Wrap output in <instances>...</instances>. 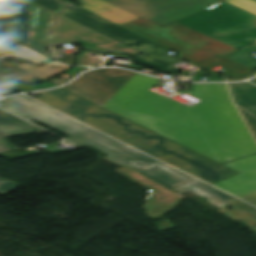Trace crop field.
<instances>
[{"label":"crop field","mask_w":256,"mask_h":256,"mask_svg":"<svg viewBox=\"0 0 256 256\" xmlns=\"http://www.w3.org/2000/svg\"><path fill=\"white\" fill-rule=\"evenodd\" d=\"M69 80H71V79H66V80H64V81H62V82L59 81V80H56V79H52V80H50V81L53 82L54 84L60 86V85H62V84H64V83H66V82L69 81Z\"/></svg>","instance_id":"crop-field-27"},{"label":"crop field","mask_w":256,"mask_h":256,"mask_svg":"<svg viewBox=\"0 0 256 256\" xmlns=\"http://www.w3.org/2000/svg\"><path fill=\"white\" fill-rule=\"evenodd\" d=\"M41 6H44L52 11H58L62 0H31Z\"/></svg>","instance_id":"crop-field-23"},{"label":"crop field","mask_w":256,"mask_h":256,"mask_svg":"<svg viewBox=\"0 0 256 256\" xmlns=\"http://www.w3.org/2000/svg\"><path fill=\"white\" fill-rule=\"evenodd\" d=\"M19 187V184L10 182L6 179L0 178V193L3 195L9 194L15 191Z\"/></svg>","instance_id":"crop-field-22"},{"label":"crop field","mask_w":256,"mask_h":256,"mask_svg":"<svg viewBox=\"0 0 256 256\" xmlns=\"http://www.w3.org/2000/svg\"><path fill=\"white\" fill-rule=\"evenodd\" d=\"M31 73H33L34 75L46 80L56 74H58L59 72H62L68 68H70V66H57V65H44L42 67L39 66H34V65H30V64H16L13 63Z\"/></svg>","instance_id":"crop-field-16"},{"label":"crop field","mask_w":256,"mask_h":256,"mask_svg":"<svg viewBox=\"0 0 256 256\" xmlns=\"http://www.w3.org/2000/svg\"><path fill=\"white\" fill-rule=\"evenodd\" d=\"M256 15V2L252 0H225ZM256 42V40H255Z\"/></svg>","instance_id":"crop-field-21"},{"label":"crop field","mask_w":256,"mask_h":256,"mask_svg":"<svg viewBox=\"0 0 256 256\" xmlns=\"http://www.w3.org/2000/svg\"><path fill=\"white\" fill-rule=\"evenodd\" d=\"M226 80L227 81H238V80H244V78L243 79H228V78H226Z\"/></svg>","instance_id":"crop-field-30"},{"label":"crop field","mask_w":256,"mask_h":256,"mask_svg":"<svg viewBox=\"0 0 256 256\" xmlns=\"http://www.w3.org/2000/svg\"><path fill=\"white\" fill-rule=\"evenodd\" d=\"M135 74L122 69H100L85 73L64 88L102 106Z\"/></svg>","instance_id":"crop-field-7"},{"label":"crop field","mask_w":256,"mask_h":256,"mask_svg":"<svg viewBox=\"0 0 256 256\" xmlns=\"http://www.w3.org/2000/svg\"><path fill=\"white\" fill-rule=\"evenodd\" d=\"M6 80H14L27 84H36L42 79L10 64L0 58V83Z\"/></svg>","instance_id":"crop-field-15"},{"label":"crop field","mask_w":256,"mask_h":256,"mask_svg":"<svg viewBox=\"0 0 256 256\" xmlns=\"http://www.w3.org/2000/svg\"><path fill=\"white\" fill-rule=\"evenodd\" d=\"M239 172L214 186L242 198L256 191V155L224 164Z\"/></svg>","instance_id":"crop-field-9"},{"label":"crop field","mask_w":256,"mask_h":256,"mask_svg":"<svg viewBox=\"0 0 256 256\" xmlns=\"http://www.w3.org/2000/svg\"><path fill=\"white\" fill-rule=\"evenodd\" d=\"M256 1V0H255Z\"/></svg>","instance_id":"crop-field-32"},{"label":"crop field","mask_w":256,"mask_h":256,"mask_svg":"<svg viewBox=\"0 0 256 256\" xmlns=\"http://www.w3.org/2000/svg\"><path fill=\"white\" fill-rule=\"evenodd\" d=\"M80 7L118 25L140 18L104 0H77Z\"/></svg>","instance_id":"crop-field-13"},{"label":"crop field","mask_w":256,"mask_h":256,"mask_svg":"<svg viewBox=\"0 0 256 256\" xmlns=\"http://www.w3.org/2000/svg\"><path fill=\"white\" fill-rule=\"evenodd\" d=\"M85 69H89L88 67H76V68H74V69H72V70H74V71H76V72H81V71H83V70H85Z\"/></svg>","instance_id":"crop-field-28"},{"label":"crop field","mask_w":256,"mask_h":256,"mask_svg":"<svg viewBox=\"0 0 256 256\" xmlns=\"http://www.w3.org/2000/svg\"><path fill=\"white\" fill-rule=\"evenodd\" d=\"M178 22L237 50L256 39V16L225 1Z\"/></svg>","instance_id":"crop-field-4"},{"label":"crop field","mask_w":256,"mask_h":256,"mask_svg":"<svg viewBox=\"0 0 256 256\" xmlns=\"http://www.w3.org/2000/svg\"><path fill=\"white\" fill-rule=\"evenodd\" d=\"M203 76H193L194 81H201ZM207 81H224L223 78L207 77Z\"/></svg>","instance_id":"crop-field-25"},{"label":"crop field","mask_w":256,"mask_h":256,"mask_svg":"<svg viewBox=\"0 0 256 256\" xmlns=\"http://www.w3.org/2000/svg\"><path fill=\"white\" fill-rule=\"evenodd\" d=\"M62 4H64L65 8L59 13L60 15L142 53L137 56V61L162 71L176 73L179 70V68L173 67V64L180 61V59L166 54L171 50L99 16L75 7L64 0Z\"/></svg>","instance_id":"crop-field-5"},{"label":"crop field","mask_w":256,"mask_h":256,"mask_svg":"<svg viewBox=\"0 0 256 256\" xmlns=\"http://www.w3.org/2000/svg\"><path fill=\"white\" fill-rule=\"evenodd\" d=\"M256 51V43H252L245 47L244 50H239L228 58L243 64L252 69L256 68V58L251 56L252 52Z\"/></svg>","instance_id":"crop-field-18"},{"label":"crop field","mask_w":256,"mask_h":256,"mask_svg":"<svg viewBox=\"0 0 256 256\" xmlns=\"http://www.w3.org/2000/svg\"><path fill=\"white\" fill-rule=\"evenodd\" d=\"M243 199H245V200H247V201L256 205V192L249 195V196L244 197Z\"/></svg>","instance_id":"crop-field-26"},{"label":"crop field","mask_w":256,"mask_h":256,"mask_svg":"<svg viewBox=\"0 0 256 256\" xmlns=\"http://www.w3.org/2000/svg\"><path fill=\"white\" fill-rule=\"evenodd\" d=\"M254 75H256V72H254V73L250 74L249 76L245 77V79L250 78V77H252Z\"/></svg>","instance_id":"crop-field-31"},{"label":"crop field","mask_w":256,"mask_h":256,"mask_svg":"<svg viewBox=\"0 0 256 256\" xmlns=\"http://www.w3.org/2000/svg\"><path fill=\"white\" fill-rule=\"evenodd\" d=\"M0 107L29 121L37 119L48 124L70 135V138L67 140L82 147L89 145L103 153L109 154L106 158L135 170L176 193L181 194L190 190L206 197L212 205L220 207V214L230 219H241L246 222L247 226L256 230V209L126 145L21 96L1 100ZM228 206L234 208L233 211L225 209Z\"/></svg>","instance_id":"crop-field-2"},{"label":"crop field","mask_w":256,"mask_h":256,"mask_svg":"<svg viewBox=\"0 0 256 256\" xmlns=\"http://www.w3.org/2000/svg\"><path fill=\"white\" fill-rule=\"evenodd\" d=\"M48 42H76L88 49L126 52L133 55L139 54L61 16H58Z\"/></svg>","instance_id":"crop-field-8"},{"label":"crop field","mask_w":256,"mask_h":256,"mask_svg":"<svg viewBox=\"0 0 256 256\" xmlns=\"http://www.w3.org/2000/svg\"><path fill=\"white\" fill-rule=\"evenodd\" d=\"M28 11L29 16L26 24L30 25V27L29 40L26 45L54 59V57L44 49V45L56 13L33 2Z\"/></svg>","instance_id":"crop-field-11"},{"label":"crop field","mask_w":256,"mask_h":256,"mask_svg":"<svg viewBox=\"0 0 256 256\" xmlns=\"http://www.w3.org/2000/svg\"><path fill=\"white\" fill-rule=\"evenodd\" d=\"M19 92H24V91H31V90H38V89H45V88H49V87H54L55 85L44 81L41 82L39 84H36L34 86H27V85H23V84H18V83H14V82H6L3 83Z\"/></svg>","instance_id":"crop-field-20"},{"label":"crop field","mask_w":256,"mask_h":256,"mask_svg":"<svg viewBox=\"0 0 256 256\" xmlns=\"http://www.w3.org/2000/svg\"><path fill=\"white\" fill-rule=\"evenodd\" d=\"M92 53H97V52L83 51L81 54H79L77 56L78 65H100V64H102L101 59L99 57L90 56ZM116 57L130 58V56H128V55H117ZM121 66L126 67V68L136 69V70H139L140 68L143 67L141 65L134 66L131 58L128 63L121 64Z\"/></svg>","instance_id":"crop-field-17"},{"label":"crop field","mask_w":256,"mask_h":256,"mask_svg":"<svg viewBox=\"0 0 256 256\" xmlns=\"http://www.w3.org/2000/svg\"><path fill=\"white\" fill-rule=\"evenodd\" d=\"M118 171L135 180L136 182L144 185L151 191L147 197L146 205L144 207L147 210L149 217L155 219L159 215L178 205L181 197L171 193L170 191L162 188L161 186L151 182L150 180L129 169L123 168Z\"/></svg>","instance_id":"crop-field-10"},{"label":"crop field","mask_w":256,"mask_h":256,"mask_svg":"<svg viewBox=\"0 0 256 256\" xmlns=\"http://www.w3.org/2000/svg\"><path fill=\"white\" fill-rule=\"evenodd\" d=\"M250 82L256 84V79ZM229 85L237 106L256 116V86L248 82Z\"/></svg>","instance_id":"crop-field-14"},{"label":"crop field","mask_w":256,"mask_h":256,"mask_svg":"<svg viewBox=\"0 0 256 256\" xmlns=\"http://www.w3.org/2000/svg\"><path fill=\"white\" fill-rule=\"evenodd\" d=\"M158 81L136 74L103 107L219 163L256 153L226 84H194L189 107L149 90Z\"/></svg>","instance_id":"crop-field-1"},{"label":"crop field","mask_w":256,"mask_h":256,"mask_svg":"<svg viewBox=\"0 0 256 256\" xmlns=\"http://www.w3.org/2000/svg\"><path fill=\"white\" fill-rule=\"evenodd\" d=\"M65 73H67L68 75H70V76H72V77H74L76 74H78V73H76V72H74V71H72V70H69V71H67V72H65Z\"/></svg>","instance_id":"crop-field-29"},{"label":"crop field","mask_w":256,"mask_h":256,"mask_svg":"<svg viewBox=\"0 0 256 256\" xmlns=\"http://www.w3.org/2000/svg\"><path fill=\"white\" fill-rule=\"evenodd\" d=\"M161 27L222 0H106Z\"/></svg>","instance_id":"crop-field-6"},{"label":"crop field","mask_w":256,"mask_h":256,"mask_svg":"<svg viewBox=\"0 0 256 256\" xmlns=\"http://www.w3.org/2000/svg\"><path fill=\"white\" fill-rule=\"evenodd\" d=\"M10 55L44 63H58L57 61L52 60L23 45H19L13 52L10 53Z\"/></svg>","instance_id":"crop-field-19"},{"label":"crop field","mask_w":256,"mask_h":256,"mask_svg":"<svg viewBox=\"0 0 256 256\" xmlns=\"http://www.w3.org/2000/svg\"><path fill=\"white\" fill-rule=\"evenodd\" d=\"M240 111L256 136V118L250 116L249 114L245 113L242 110H240Z\"/></svg>","instance_id":"crop-field-24"},{"label":"crop field","mask_w":256,"mask_h":256,"mask_svg":"<svg viewBox=\"0 0 256 256\" xmlns=\"http://www.w3.org/2000/svg\"><path fill=\"white\" fill-rule=\"evenodd\" d=\"M41 128L11 114L0 110V152L16 149L17 147L4 139L15 134H32Z\"/></svg>","instance_id":"crop-field-12"},{"label":"crop field","mask_w":256,"mask_h":256,"mask_svg":"<svg viewBox=\"0 0 256 256\" xmlns=\"http://www.w3.org/2000/svg\"><path fill=\"white\" fill-rule=\"evenodd\" d=\"M38 94L37 100L209 183L233 173L60 88Z\"/></svg>","instance_id":"crop-field-3"}]
</instances>
